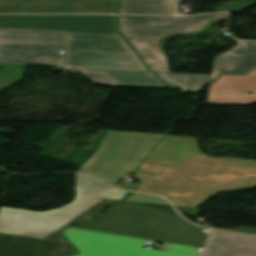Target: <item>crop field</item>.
Segmentation results:
<instances>
[{
  "instance_id": "obj_1",
  "label": "crop field",
  "mask_w": 256,
  "mask_h": 256,
  "mask_svg": "<svg viewBox=\"0 0 256 256\" xmlns=\"http://www.w3.org/2000/svg\"><path fill=\"white\" fill-rule=\"evenodd\" d=\"M140 192L169 196L174 205L198 208L218 192L256 185V162L211 159L194 138L166 136L135 173Z\"/></svg>"
},
{
  "instance_id": "obj_2",
  "label": "crop field",
  "mask_w": 256,
  "mask_h": 256,
  "mask_svg": "<svg viewBox=\"0 0 256 256\" xmlns=\"http://www.w3.org/2000/svg\"><path fill=\"white\" fill-rule=\"evenodd\" d=\"M73 227L196 247H204L208 235L179 217L171 206L126 201L90 223Z\"/></svg>"
},
{
  "instance_id": "obj_3",
  "label": "crop field",
  "mask_w": 256,
  "mask_h": 256,
  "mask_svg": "<svg viewBox=\"0 0 256 256\" xmlns=\"http://www.w3.org/2000/svg\"><path fill=\"white\" fill-rule=\"evenodd\" d=\"M66 65L105 73L117 86L171 88L150 73L120 35L69 33Z\"/></svg>"
},
{
  "instance_id": "obj_4",
  "label": "crop field",
  "mask_w": 256,
  "mask_h": 256,
  "mask_svg": "<svg viewBox=\"0 0 256 256\" xmlns=\"http://www.w3.org/2000/svg\"><path fill=\"white\" fill-rule=\"evenodd\" d=\"M226 18L227 13L188 17L118 16V25L151 70L170 72L165 54L168 39L195 33Z\"/></svg>"
},
{
  "instance_id": "obj_5",
  "label": "crop field",
  "mask_w": 256,
  "mask_h": 256,
  "mask_svg": "<svg viewBox=\"0 0 256 256\" xmlns=\"http://www.w3.org/2000/svg\"><path fill=\"white\" fill-rule=\"evenodd\" d=\"M126 193L76 175V198L66 206L47 212L1 207L0 233L42 239L101 199L120 200Z\"/></svg>"
},
{
  "instance_id": "obj_6",
  "label": "crop field",
  "mask_w": 256,
  "mask_h": 256,
  "mask_svg": "<svg viewBox=\"0 0 256 256\" xmlns=\"http://www.w3.org/2000/svg\"><path fill=\"white\" fill-rule=\"evenodd\" d=\"M163 135L108 131L99 149L79 169L115 186L134 171Z\"/></svg>"
},
{
  "instance_id": "obj_7",
  "label": "crop field",
  "mask_w": 256,
  "mask_h": 256,
  "mask_svg": "<svg viewBox=\"0 0 256 256\" xmlns=\"http://www.w3.org/2000/svg\"><path fill=\"white\" fill-rule=\"evenodd\" d=\"M65 33L0 30V64L64 67Z\"/></svg>"
},
{
  "instance_id": "obj_8",
  "label": "crop field",
  "mask_w": 256,
  "mask_h": 256,
  "mask_svg": "<svg viewBox=\"0 0 256 256\" xmlns=\"http://www.w3.org/2000/svg\"><path fill=\"white\" fill-rule=\"evenodd\" d=\"M64 236L78 249L74 256H198L142 248L146 239L66 228Z\"/></svg>"
},
{
  "instance_id": "obj_9",
  "label": "crop field",
  "mask_w": 256,
  "mask_h": 256,
  "mask_svg": "<svg viewBox=\"0 0 256 256\" xmlns=\"http://www.w3.org/2000/svg\"><path fill=\"white\" fill-rule=\"evenodd\" d=\"M0 28L118 34L114 16L0 15Z\"/></svg>"
},
{
  "instance_id": "obj_10",
  "label": "crop field",
  "mask_w": 256,
  "mask_h": 256,
  "mask_svg": "<svg viewBox=\"0 0 256 256\" xmlns=\"http://www.w3.org/2000/svg\"><path fill=\"white\" fill-rule=\"evenodd\" d=\"M117 0H0V13H115Z\"/></svg>"
},
{
  "instance_id": "obj_11",
  "label": "crop field",
  "mask_w": 256,
  "mask_h": 256,
  "mask_svg": "<svg viewBox=\"0 0 256 256\" xmlns=\"http://www.w3.org/2000/svg\"><path fill=\"white\" fill-rule=\"evenodd\" d=\"M248 92H253L248 95ZM256 102V69L246 75L219 76L210 84L205 104H250Z\"/></svg>"
},
{
  "instance_id": "obj_12",
  "label": "crop field",
  "mask_w": 256,
  "mask_h": 256,
  "mask_svg": "<svg viewBox=\"0 0 256 256\" xmlns=\"http://www.w3.org/2000/svg\"><path fill=\"white\" fill-rule=\"evenodd\" d=\"M75 253L70 245L0 234V256H62Z\"/></svg>"
},
{
  "instance_id": "obj_13",
  "label": "crop field",
  "mask_w": 256,
  "mask_h": 256,
  "mask_svg": "<svg viewBox=\"0 0 256 256\" xmlns=\"http://www.w3.org/2000/svg\"><path fill=\"white\" fill-rule=\"evenodd\" d=\"M255 66L256 42L237 41L236 47L215 57L210 82L220 73L244 74Z\"/></svg>"
},
{
  "instance_id": "obj_14",
  "label": "crop field",
  "mask_w": 256,
  "mask_h": 256,
  "mask_svg": "<svg viewBox=\"0 0 256 256\" xmlns=\"http://www.w3.org/2000/svg\"><path fill=\"white\" fill-rule=\"evenodd\" d=\"M204 256H256V237L212 229Z\"/></svg>"
},
{
  "instance_id": "obj_15",
  "label": "crop field",
  "mask_w": 256,
  "mask_h": 256,
  "mask_svg": "<svg viewBox=\"0 0 256 256\" xmlns=\"http://www.w3.org/2000/svg\"><path fill=\"white\" fill-rule=\"evenodd\" d=\"M180 0H160V2H144L119 0L117 13L130 14H175Z\"/></svg>"
},
{
  "instance_id": "obj_16",
  "label": "crop field",
  "mask_w": 256,
  "mask_h": 256,
  "mask_svg": "<svg viewBox=\"0 0 256 256\" xmlns=\"http://www.w3.org/2000/svg\"><path fill=\"white\" fill-rule=\"evenodd\" d=\"M157 73V72H156ZM165 82L179 87L182 91L196 92L204 83H209L210 75L157 73ZM205 85V84H204Z\"/></svg>"
},
{
  "instance_id": "obj_17",
  "label": "crop field",
  "mask_w": 256,
  "mask_h": 256,
  "mask_svg": "<svg viewBox=\"0 0 256 256\" xmlns=\"http://www.w3.org/2000/svg\"><path fill=\"white\" fill-rule=\"evenodd\" d=\"M114 202L116 201L103 199L94 206H92L91 208H89L88 210H86L85 212L81 213L80 215L66 223L65 226L75 225L87 221L90 218L98 215L104 208H106L107 206L111 205Z\"/></svg>"
},
{
  "instance_id": "obj_18",
  "label": "crop field",
  "mask_w": 256,
  "mask_h": 256,
  "mask_svg": "<svg viewBox=\"0 0 256 256\" xmlns=\"http://www.w3.org/2000/svg\"><path fill=\"white\" fill-rule=\"evenodd\" d=\"M124 200L168 205L167 202L160 197L144 195V194H132L127 198H125Z\"/></svg>"
},
{
  "instance_id": "obj_19",
  "label": "crop field",
  "mask_w": 256,
  "mask_h": 256,
  "mask_svg": "<svg viewBox=\"0 0 256 256\" xmlns=\"http://www.w3.org/2000/svg\"><path fill=\"white\" fill-rule=\"evenodd\" d=\"M254 4L251 1H233L226 4H222L218 7L213 8L216 11H226V10H239L249 5Z\"/></svg>"
},
{
  "instance_id": "obj_20",
  "label": "crop field",
  "mask_w": 256,
  "mask_h": 256,
  "mask_svg": "<svg viewBox=\"0 0 256 256\" xmlns=\"http://www.w3.org/2000/svg\"><path fill=\"white\" fill-rule=\"evenodd\" d=\"M98 84L114 86L105 74L84 73Z\"/></svg>"
},
{
  "instance_id": "obj_21",
  "label": "crop field",
  "mask_w": 256,
  "mask_h": 256,
  "mask_svg": "<svg viewBox=\"0 0 256 256\" xmlns=\"http://www.w3.org/2000/svg\"><path fill=\"white\" fill-rule=\"evenodd\" d=\"M165 248L179 250V251H185V252H191V253H197V254L202 253V252H195L197 250L196 247L184 246V245L173 244V243H167Z\"/></svg>"
},
{
  "instance_id": "obj_22",
  "label": "crop field",
  "mask_w": 256,
  "mask_h": 256,
  "mask_svg": "<svg viewBox=\"0 0 256 256\" xmlns=\"http://www.w3.org/2000/svg\"><path fill=\"white\" fill-rule=\"evenodd\" d=\"M64 227V226H62ZM60 227L59 229H57L56 231H54L53 233H51L50 235H48L47 237H45V240H50V241H56V242H61V243H66L65 240L61 237L59 230L62 228ZM67 244V243H66Z\"/></svg>"
},
{
  "instance_id": "obj_23",
  "label": "crop field",
  "mask_w": 256,
  "mask_h": 256,
  "mask_svg": "<svg viewBox=\"0 0 256 256\" xmlns=\"http://www.w3.org/2000/svg\"><path fill=\"white\" fill-rule=\"evenodd\" d=\"M177 208V210L181 213V214H187V215H190V216H198L199 214V210L200 209H194V208H186V207H178V206H175Z\"/></svg>"
},
{
  "instance_id": "obj_24",
  "label": "crop field",
  "mask_w": 256,
  "mask_h": 256,
  "mask_svg": "<svg viewBox=\"0 0 256 256\" xmlns=\"http://www.w3.org/2000/svg\"><path fill=\"white\" fill-rule=\"evenodd\" d=\"M232 231L256 234V229L247 228V227L235 228V229H232Z\"/></svg>"
},
{
  "instance_id": "obj_25",
  "label": "crop field",
  "mask_w": 256,
  "mask_h": 256,
  "mask_svg": "<svg viewBox=\"0 0 256 256\" xmlns=\"http://www.w3.org/2000/svg\"><path fill=\"white\" fill-rule=\"evenodd\" d=\"M144 1H152V2H157L159 0H144Z\"/></svg>"
}]
</instances>
